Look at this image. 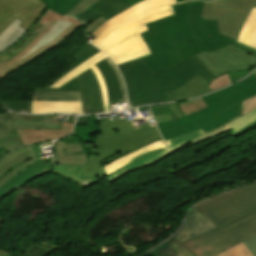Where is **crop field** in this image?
<instances>
[{"instance_id": "obj_52", "label": "crop field", "mask_w": 256, "mask_h": 256, "mask_svg": "<svg viewBox=\"0 0 256 256\" xmlns=\"http://www.w3.org/2000/svg\"><path fill=\"white\" fill-rule=\"evenodd\" d=\"M248 73H249V71H246V72H231V73H228V74L230 76L231 82L233 83V82L243 78Z\"/></svg>"}, {"instance_id": "obj_23", "label": "crop field", "mask_w": 256, "mask_h": 256, "mask_svg": "<svg viewBox=\"0 0 256 256\" xmlns=\"http://www.w3.org/2000/svg\"><path fill=\"white\" fill-rule=\"evenodd\" d=\"M31 113L81 114V102H32Z\"/></svg>"}, {"instance_id": "obj_10", "label": "crop field", "mask_w": 256, "mask_h": 256, "mask_svg": "<svg viewBox=\"0 0 256 256\" xmlns=\"http://www.w3.org/2000/svg\"><path fill=\"white\" fill-rule=\"evenodd\" d=\"M61 121H52L50 115L30 116L0 113V150L12 152L24 146L14 129H61Z\"/></svg>"}, {"instance_id": "obj_43", "label": "crop field", "mask_w": 256, "mask_h": 256, "mask_svg": "<svg viewBox=\"0 0 256 256\" xmlns=\"http://www.w3.org/2000/svg\"><path fill=\"white\" fill-rule=\"evenodd\" d=\"M0 104L12 111L19 112V110L31 111V102H0Z\"/></svg>"}, {"instance_id": "obj_53", "label": "crop field", "mask_w": 256, "mask_h": 256, "mask_svg": "<svg viewBox=\"0 0 256 256\" xmlns=\"http://www.w3.org/2000/svg\"><path fill=\"white\" fill-rule=\"evenodd\" d=\"M153 116L171 113L169 107L151 109Z\"/></svg>"}, {"instance_id": "obj_27", "label": "crop field", "mask_w": 256, "mask_h": 256, "mask_svg": "<svg viewBox=\"0 0 256 256\" xmlns=\"http://www.w3.org/2000/svg\"><path fill=\"white\" fill-rule=\"evenodd\" d=\"M96 65L100 69L103 75V78L106 82L108 93H109V102L123 100L121 97L120 87L117 81L116 74L111 69V67L107 64L105 59Z\"/></svg>"}, {"instance_id": "obj_45", "label": "crop field", "mask_w": 256, "mask_h": 256, "mask_svg": "<svg viewBox=\"0 0 256 256\" xmlns=\"http://www.w3.org/2000/svg\"><path fill=\"white\" fill-rule=\"evenodd\" d=\"M98 0H83L80 4L75 6L72 10H70L67 15H71L73 17H77L80 15L83 11H85L87 8L92 6L94 3H96Z\"/></svg>"}, {"instance_id": "obj_24", "label": "crop field", "mask_w": 256, "mask_h": 256, "mask_svg": "<svg viewBox=\"0 0 256 256\" xmlns=\"http://www.w3.org/2000/svg\"><path fill=\"white\" fill-rule=\"evenodd\" d=\"M16 11L23 16L37 21L47 6L41 0H6Z\"/></svg>"}, {"instance_id": "obj_36", "label": "crop field", "mask_w": 256, "mask_h": 256, "mask_svg": "<svg viewBox=\"0 0 256 256\" xmlns=\"http://www.w3.org/2000/svg\"><path fill=\"white\" fill-rule=\"evenodd\" d=\"M49 9L60 15H65L71 8L77 5L78 0H43Z\"/></svg>"}, {"instance_id": "obj_13", "label": "crop field", "mask_w": 256, "mask_h": 256, "mask_svg": "<svg viewBox=\"0 0 256 256\" xmlns=\"http://www.w3.org/2000/svg\"><path fill=\"white\" fill-rule=\"evenodd\" d=\"M38 158L32 146L18 149L0 161V187L12 177L33 165Z\"/></svg>"}, {"instance_id": "obj_29", "label": "crop field", "mask_w": 256, "mask_h": 256, "mask_svg": "<svg viewBox=\"0 0 256 256\" xmlns=\"http://www.w3.org/2000/svg\"><path fill=\"white\" fill-rule=\"evenodd\" d=\"M151 252L156 256H194L186 247L172 238Z\"/></svg>"}, {"instance_id": "obj_16", "label": "crop field", "mask_w": 256, "mask_h": 256, "mask_svg": "<svg viewBox=\"0 0 256 256\" xmlns=\"http://www.w3.org/2000/svg\"><path fill=\"white\" fill-rule=\"evenodd\" d=\"M129 8L130 6L125 0H100L78 16L77 19L83 21L86 26L99 15L108 21Z\"/></svg>"}, {"instance_id": "obj_33", "label": "crop field", "mask_w": 256, "mask_h": 256, "mask_svg": "<svg viewBox=\"0 0 256 256\" xmlns=\"http://www.w3.org/2000/svg\"><path fill=\"white\" fill-rule=\"evenodd\" d=\"M105 57H107L105 54L103 53H98L95 56L89 58L88 60H86L84 63H82L81 65H79L77 68H75L74 70H72L70 73H68L66 76H64L62 79H60L59 81H57L55 84H53L50 88H55V87H59L61 85H63L64 83H66L67 81L71 80L72 78H74L75 76H77L78 74H80L81 72H83L84 70H86L87 68H89L90 66L98 63L99 61H101L102 59H104Z\"/></svg>"}, {"instance_id": "obj_56", "label": "crop field", "mask_w": 256, "mask_h": 256, "mask_svg": "<svg viewBox=\"0 0 256 256\" xmlns=\"http://www.w3.org/2000/svg\"><path fill=\"white\" fill-rule=\"evenodd\" d=\"M138 109H139V111L146 110V112H147L148 116H150V115H151V114H150V111H149L148 106H147V107H140V108H138Z\"/></svg>"}, {"instance_id": "obj_11", "label": "crop field", "mask_w": 256, "mask_h": 256, "mask_svg": "<svg viewBox=\"0 0 256 256\" xmlns=\"http://www.w3.org/2000/svg\"><path fill=\"white\" fill-rule=\"evenodd\" d=\"M196 57L214 77L228 71L250 69L256 64V57L232 44L214 53L202 52Z\"/></svg>"}, {"instance_id": "obj_30", "label": "crop field", "mask_w": 256, "mask_h": 256, "mask_svg": "<svg viewBox=\"0 0 256 256\" xmlns=\"http://www.w3.org/2000/svg\"><path fill=\"white\" fill-rule=\"evenodd\" d=\"M32 101H81L80 92H33Z\"/></svg>"}, {"instance_id": "obj_25", "label": "crop field", "mask_w": 256, "mask_h": 256, "mask_svg": "<svg viewBox=\"0 0 256 256\" xmlns=\"http://www.w3.org/2000/svg\"><path fill=\"white\" fill-rule=\"evenodd\" d=\"M15 13V15H12ZM20 19L23 23L20 27L29 29L35 21L23 17L16 12L5 0H0V34L14 21L15 18Z\"/></svg>"}, {"instance_id": "obj_54", "label": "crop field", "mask_w": 256, "mask_h": 256, "mask_svg": "<svg viewBox=\"0 0 256 256\" xmlns=\"http://www.w3.org/2000/svg\"><path fill=\"white\" fill-rule=\"evenodd\" d=\"M233 44L236 45L237 47L241 48L242 50H244V51H246V52H248V53H250V54L256 56V51H254V50H252V49H250V48H247V47H245V46H242V45H240V44H238V43H236V42L233 43Z\"/></svg>"}, {"instance_id": "obj_14", "label": "crop field", "mask_w": 256, "mask_h": 256, "mask_svg": "<svg viewBox=\"0 0 256 256\" xmlns=\"http://www.w3.org/2000/svg\"><path fill=\"white\" fill-rule=\"evenodd\" d=\"M75 78L81 90L83 114L103 112L99 84L91 69H87Z\"/></svg>"}, {"instance_id": "obj_17", "label": "crop field", "mask_w": 256, "mask_h": 256, "mask_svg": "<svg viewBox=\"0 0 256 256\" xmlns=\"http://www.w3.org/2000/svg\"><path fill=\"white\" fill-rule=\"evenodd\" d=\"M89 150L84 149L82 143H71L57 141L54 147L55 164L85 165Z\"/></svg>"}, {"instance_id": "obj_59", "label": "crop field", "mask_w": 256, "mask_h": 256, "mask_svg": "<svg viewBox=\"0 0 256 256\" xmlns=\"http://www.w3.org/2000/svg\"><path fill=\"white\" fill-rule=\"evenodd\" d=\"M182 1H185V0H178V3L182 2Z\"/></svg>"}, {"instance_id": "obj_37", "label": "crop field", "mask_w": 256, "mask_h": 256, "mask_svg": "<svg viewBox=\"0 0 256 256\" xmlns=\"http://www.w3.org/2000/svg\"><path fill=\"white\" fill-rule=\"evenodd\" d=\"M225 0H217L213 2H205L201 19L217 20L218 14Z\"/></svg>"}, {"instance_id": "obj_4", "label": "crop field", "mask_w": 256, "mask_h": 256, "mask_svg": "<svg viewBox=\"0 0 256 256\" xmlns=\"http://www.w3.org/2000/svg\"><path fill=\"white\" fill-rule=\"evenodd\" d=\"M81 23L67 15L62 17L47 9L16 45L0 53V80L59 45L82 26Z\"/></svg>"}, {"instance_id": "obj_7", "label": "crop field", "mask_w": 256, "mask_h": 256, "mask_svg": "<svg viewBox=\"0 0 256 256\" xmlns=\"http://www.w3.org/2000/svg\"><path fill=\"white\" fill-rule=\"evenodd\" d=\"M218 227L256 211V182L195 205Z\"/></svg>"}, {"instance_id": "obj_40", "label": "crop field", "mask_w": 256, "mask_h": 256, "mask_svg": "<svg viewBox=\"0 0 256 256\" xmlns=\"http://www.w3.org/2000/svg\"><path fill=\"white\" fill-rule=\"evenodd\" d=\"M164 106H169L173 114L153 117L156 123L176 120V119H179V118L183 117V115L181 113V110L178 108L176 103L153 105V106H150V108L164 107Z\"/></svg>"}, {"instance_id": "obj_18", "label": "crop field", "mask_w": 256, "mask_h": 256, "mask_svg": "<svg viewBox=\"0 0 256 256\" xmlns=\"http://www.w3.org/2000/svg\"><path fill=\"white\" fill-rule=\"evenodd\" d=\"M165 144L163 142L162 139L156 141V142H153L139 150H136L130 154H127L107 165H104L103 168H104V171L106 173V176H109L113 173H115L116 171L122 169L123 167L131 164L132 162L148 155V154H151L159 149H162V148H165Z\"/></svg>"}, {"instance_id": "obj_42", "label": "crop field", "mask_w": 256, "mask_h": 256, "mask_svg": "<svg viewBox=\"0 0 256 256\" xmlns=\"http://www.w3.org/2000/svg\"><path fill=\"white\" fill-rule=\"evenodd\" d=\"M219 256H251L243 243L219 254Z\"/></svg>"}, {"instance_id": "obj_32", "label": "crop field", "mask_w": 256, "mask_h": 256, "mask_svg": "<svg viewBox=\"0 0 256 256\" xmlns=\"http://www.w3.org/2000/svg\"><path fill=\"white\" fill-rule=\"evenodd\" d=\"M84 168L54 166V174L76 182L82 188L98 183L97 179H80ZM82 181H85V185Z\"/></svg>"}, {"instance_id": "obj_50", "label": "crop field", "mask_w": 256, "mask_h": 256, "mask_svg": "<svg viewBox=\"0 0 256 256\" xmlns=\"http://www.w3.org/2000/svg\"><path fill=\"white\" fill-rule=\"evenodd\" d=\"M253 256H256V236L243 242Z\"/></svg>"}, {"instance_id": "obj_46", "label": "crop field", "mask_w": 256, "mask_h": 256, "mask_svg": "<svg viewBox=\"0 0 256 256\" xmlns=\"http://www.w3.org/2000/svg\"><path fill=\"white\" fill-rule=\"evenodd\" d=\"M231 84L230 79L227 74L222 75L210 83L209 88L217 90L225 85Z\"/></svg>"}, {"instance_id": "obj_19", "label": "crop field", "mask_w": 256, "mask_h": 256, "mask_svg": "<svg viewBox=\"0 0 256 256\" xmlns=\"http://www.w3.org/2000/svg\"><path fill=\"white\" fill-rule=\"evenodd\" d=\"M100 52L98 49L94 48L92 45L89 44V42L87 44H85L75 55L74 57H76L77 59L72 62L70 65H73L72 67H70L68 70H66L65 72L61 73V75L56 78L51 84H49L46 88L44 89H34V91H80L79 90V86L74 79H72L71 81L67 82L66 84H64L63 86L59 87V88H55V89H50L48 88L49 86H51L53 83H55L57 80H59L61 77H63L65 74H67L68 72H70L72 69H74L75 67H77L79 64H81L82 62H84L86 59H88L89 57L93 56L94 54Z\"/></svg>"}, {"instance_id": "obj_8", "label": "crop field", "mask_w": 256, "mask_h": 256, "mask_svg": "<svg viewBox=\"0 0 256 256\" xmlns=\"http://www.w3.org/2000/svg\"><path fill=\"white\" fill-rule=\"evenodd\" d=\"M256 235V213L184 243L196 256H215Z\"/></svg>"}, {"instance_id": "obj_41", "label": "crop field", "mask_w": 256, "mask_h": 256, "mask_svg": "<svg viewBox=\"0 0 256 256\" xmlns=\"http://www.w3.org/2000/svg\"><path fill=\"white\" fill-rule=\"evenodd\" d=\"M91 69L93 70L95 76L98 79V82L100 84V90L102 93V98H103V106H104V112L108 111V94H107V89L105 86V83L103 81L102 75L99 71V69L95 66L91 67Z\"/></svg>"}, {"instance_id": "obj_31", "label": "crop field", "mask_w": 256, "mask_h": 256, "mask_svg": "<svg viewBox=\"0 0 256 256\" xmlns=\"http://www.w3.org/2000/svg\"><path fill=\"white\" fill-rule=\"evenodd\" d=\"M22 22L16 20L0 35V52L15 44L27 30L18 27Z\"/></svg>"}, {"instance_id": "obj_51", "label": "crop field", "mask_w": 256, "mask_h": 256, "mask_svg": "<svg viewBox=\"0 0 256 256\" xmlns=\"http://www.w3.org/2000/svg\"><path fill=\"white\" fill-rule=\"evenodd\" d=\"M84 147L90 149V153L99 155L100 147L98 143H83Z\"/></svg>"}, {"instance_id": "obj_9", "label": "crop field", "mask_w": 256, "mask_h": 256, "mask_svg": "<svg viewBox=\"0 0 256 256\" xmlns=\"http://www.w3.org/2000/svg\"><path fill=\"white\" fill-rule=\"evenodd\" d=\"M203 4L195 1L189 12L190 25L196 38L174 43L182 60L202 51L213 52L234 42L219 34L217 21L200 20Z\"/></svg>"}, {"instance_id": "obj_44", "label": "crop field", "mask_w": 256, "mask_h": 256, "mask_svg": "<svg viewBox=\"0 0 256 256\" xmlns=\"http://www.w3.org/2000/svg\"><path fill=\"white\" fill-rule=\"evenodd\" d=\"M228 130H230V128L227 127L226 125L221 126V127L217 128V129H214V130H212V131H210V132H207V133H205V134H203V135L197 137L196 139H194V140H193L192 142H190V143H192L193 145H195V144H197V143H199V142H201V141H204V140H206V139H208V138H211V137H213V136H215V135L222 134V133H224V132H226V131H228Z\"/></svg>"}, {"instance_id": "obj_2", "label": "crop field", "mask_w": 256, "mask_h": 256, "mask_svg": "<svg viewBox=\"0 0 256 256\" xmlns=\"http://www.w3.org/2000/svg\"><path fill=\"white\" fill-rule=\"evenodd\" d=\"M201 62V61H200ZM193 56L152 75L141 58L118 65L127 87L131 107L167 102L163 93L173 91L188 83L196 75L213 81L215 78ZM197 72V73H195ZM160 86V88H158Z\"/></svg>"}, {"instance_id": "obj_39", "label": "crop field", "mask_w": 256, "mask_h": 256, "mask_svg": "<svg viewBox=\"0 0 256 256\" xmlns=\"http://www.w3.org/2000/svg\"><path fill=\"white\" fill-rule=\"evenodd\" d=\"M178 105L182 110L184 116H187L189 114H192L207 107L202 98L178 103Z\"/></svg>"}, {"instance_id": "obj_21", "label": "crop field", "mask_w": 256, "mask_h": 256, "mask_svg": "<svg viewBox=\"0 0 256 256\" xmlns=\"http://www.w3.org/2000/svg\"><path fill=\"white\" fill-rule=\"evenodd\" d=\"M52 168V163H44L34 165L21 174L14 177L11 181L5 184L3 187L0 188V198L6 194H8L13 189H16L27 182L33 180L34 178L41 176L43 174L49 173Z\"/></svg>"}, {"instance_id": "obj_60", "label": "crop field", "mask_w": 256, "mask_h": 256, "mask_svg": "<svg viewBox=\"0 0 256 256\" xmlns=\"http://www.w3.org/2000/svg\"><path fill=\"white\" fill-rule=\"evenodd\" d=\"M253 74H255V75H256V71H255Z\"/></svg>"}, {"instance_id": "obj_34", "label": "crop field", "mask_w": 256, "mask_h": 256, "mask_svg": "<svg viewBox=\"0 0 256 256\" xmlns=\"http://www.w3.org/2000/svg\"><path fill=\"white\" fill-rule=\"evenodd\" d=\"M99 128L97 126L95 116H91L87 126L75 125V130L73 135L79 136L83 142H96L92 135L99 133Z\"/></svg>"}, {"instance_id": "obj_3", "label": "crop field", "mask_w": 256, "mask_h": 256, "mask_svg": "<svg viewBox=\"0 0 256 256\" xmlns=\"http://www.w3.org/2000/svg\"><path fill=\"white\" fill-rule=\"evenodd\" d=\"M256 95V76L203 96L208 108L180 120L156 124L164 140L201 128L205 133L237 117L244 100Z\"/></svg>"}, {"instance_id": "obj_35", "label": "crop field", "mask_w": 256, "mask_h": 256, "mask_svg": "<svg viewBox=\"0 0 256 256\" xmlns=\"http://www.w3.org/2000/svg\"><path fill=\"white\" fill-rule=\"evenodd\" d=\"M201 134H203V132L199 129V130L190 132L184 136L167 140L165 142L169 148V152L172 153L178 149H181L183 146H185L187 143H189L191 140H193L194 138H196Z\"/></svg>"}, {"instance_id": "obj_58", "label": "crop field", "mask_w": 256, "mask_h": 256, "mask_svg": "<svg viewBox=\"0 0 256 256\" xmlns=\"http://www.w3.org/2000/svg\"><path fill=\"white\" fill-rule=\"evenodd\" d=\"M128 2L129 5H133L141 0H126Z\"/></svg>"}, {"instance_id": "obj_12", "label": "crop field", "mask_w": 256, "mask_h": 256, "mask_svg": "<svg viewBox=\"0 0 256 256\" xmlns=\"http://www.w3.org/2000/svg\"><path fill=\"white\" fill-rule=\"evenodd\" d=\"M252 7H256V0H227L219 14V32L237 40Z\"/></svg>"}, {"instance_id": "obj_26", "label": "crop field", "mask_w": 256, "mask_h": 256, "mask_svg": "<svg viewBox=\"0 0 256 256\" xmlns=\"http://www.w3.org/2000/svg\"><path fill=\"white\" fill-rule=\"evenodd\" d=\"M167 156H169V152H168L167 148L159 150V151H157V152H155V153H153V154H151V155H149V156H147V157H145V158H143V159L127 166V167H125V168H123L122 170L116 172L115 174L107 177V179H108L109 182H112V181L124 176L125 174H127L131 171H134V170L139 169L141 167H144L146 165L151 166V165L155 164L156 162L162 160L163 158H165Z\"/></svg>"}, {"instance_id": "obj_20", "label": "crop field", "mask_w": 256, "mask_h": 256, "mask_svg": "<svg viewBox=\"0 0 256 256\" xmlns=\"http://www.w3.org/2000/svg\"><path fill=\"white\" fill-rule=\"evenodd\" d=\"M72 124L63 122L62 130H16L24 145L65 137L72 133Z\"/></svg>"}, {"instance_id": "obj_61", "label": "crop field", "mask_w": 256, "mask_h": 256, "mask_svg": "<svg viewBox=\"0 0 256 256\" xmlns=\"http://www.w3.org/2000/svg\"><path fill=\"white\" fill-rule=\"evenodd\" d=\"M80 1H82V0H80Z\"/></svg>"}, {"instance_id": "obj_62", "label": "crop field", "mask_w": 256, "mask_h": 256, "mask_svg": "<svg viewBox=\"0 0 256 256\" xmlns=\"http://www.w3.org/2000/svg\"><path fill=\"white\" fill-rule=\"evenodd\" d=\"M218 256V255H217Z\"/></svg>"}, {"instance_id": "obj_55", "label": "crop field", "mask_w": 256, "mask_h": 256, "mask_svg": "<svg viewBox=\"0 0 256 256\" xmlns=\"http://www.w3.org/2000/svg\"><path fill=\"white\" fill-rule=\"evenodd\" d=\"M90 116H82L79 117L78 120H81L80 122H77L76 124L86 125L88 122Z\"/></svg>"}, {"instance_id": "obj_49", "label": "crop field", "mask_w": 256, "mask_h": 256, "mask_svg": "<svg viewBox=\"0 0 256 256\" xmlns=\"http://www.w3.org/2000/svg\"><path fill=\"white\" fill-rule=\"evenodd\" d=\"M254 109H256V97L245 102L241 115L246 114Z\"/></svg>"}, {"instance_id": "obj_48", "label": "crop field", "mask_w": 256, "mask_h": 256, "mask_svg": "<svg viewBox=\"0 0 256 256\" xmlns=\"http://www.w3.org/2000/svg\"><path fill=\"white\" fill-rule=\"evenodd\" d=\"M105 22V20H103L100 16L98 18H96L94 21H92L89 25L86 26V34L90 33L92 30H94L95 28L103 25Z\"/></svg>"}, {"instance_id": "obj_5", "label": "crop field", "mask_w": 256, "mask_h": 256, "mask_svg": "<svg viewBox=\"0 0 256 256\" xmlns=\"http://www.w3.org/2000/svg\"><path fill=\"white\" fill-rule=\"evenodd\" d=\"M101 133L94 135L101 147L100 156L90 155L81 178L106 177L102 165L161 138L155 126L133 127L125 118L97 122ZM74 166V165H59Z\"/></svg>"}, {"instance_id": "obj_28", "label": "crop field", "mask_w": 256, "mask_h": 256, "mask_svg": "<svg viewBox=\"0 0 256 256\" xmlns=\"http://www.w3.org/2000/svg\"><path fill=\"white\" fill-rule=\"evenodd\" d=\"M256 8H253L243 25L238 42L256 49Z\"/></svg>"}, {"instance_id": "obj_22", "label": "crop field", "mask_w": 256, "mask_h": 256, "mask_svg": "<svg viewBox=\"0 0 256 256\" xmlns=\"http://www.w3.org/2000/svg\"><path fill=\"white\" fill-rule=\"evenodd\" d=\"M208 85L209 82L196 76L184 87L176 91L166 93L164 95L166 96L168 101L183 100L185 98H191L194 96H200L202 94L212 92L213 90L207 88Z\"/></svg>"}, {"instance_id": "obj_38", "label": "crop field", "mask_w": 256, "mask_h": 256, "mask_svg": "<svg viewBox=\"0 0 256 256\" xmlns=\"http://www.w3.org/2000/svg\"><path fill=\"white\" fill-rule=\"evenodd\" d=\"M254 122H256V110H254L240 118H237V119L231 121L227 125L230 126L234 130V132H233V134H234V133L238 132L239 130H241L242 128H244Z\"/></svg>"}, {"instance_id": "obj_1", "label": "crop field", "mask_w": 256, "mask_h": 256, "mask_svg": "<svg viewBox=\"0 0 256 256\" xmlns=\"http://www.w3.org/2000/svg\"><path fill=\"white\" fill-rule=\"evenodd\" d=\"M175 0H144L121 13L90 34L91 44L105 52L116 65L149 55L139 33L148 30L144 24L174 14Z\"/></svg>"}, {"instance_id": "obj_6", "label": "crop field", "mask_w": 256, "mask_h": 256, "mask_svg": "<svg viewBox=\"0 0 256 256\" xmlns=\"http://www.w3.org/2000/svg\"><path fill=\"white\" fill-rule=\"evenodd\" d=\"M193 2L172 6L174 16L147 24L149 30L141 33L152 53L142 59L152 74L180 61L173 42L195 37L188 22V12Z\"/></svg>"}, {"instance_id": "obj_57", "label": "crop field", "mask_w": 256, "mask_h": 256, "mask_svg": "<svg viewBox=\"0 0 256 256\" xmlns=\"http://www.w3.org/2000/svg\"><path fill=\"white\" fill-rule=\"evenodd\" d=\"M6 154H9V153H7L5 150L2 149L0 151V159L4 158Z\"/></svg>"}, {"instance_id": "obj_15", "label": "crop field", "mask_w": 256, "mask_h": 256, "mask_svg": "<svg viewBox=\"0 0 256 256\" xmlns=\"http://www.w3.org/2000/svg\"><path fill=\"white\" fill-rule=\"evenodd\" d=\"M217 228L205 215L196 208H192L181 229L173 236L184 243L198 235Z\"/></svg>"}, {"instance_id": "obj_47", "label": "crop field", "mask_w": 256, "mask_h": 256, "mask_svg": "<svg viewBox=\"0 0 256 256\" xmlns=\"http://www.w3.org/2000/svg\"><path fill=\"white\" fill-rule=\"evenodd\" d=\"M105 59L109 63V65L112 67V69L116 72L118 80L120 82V86H121L122 97H123L124 100H126V92H125L124 83H123L122 78H121V74L119 73V71L116 68L115 64L108 57L105 58Z\"/></svg>"}]
</instances>
